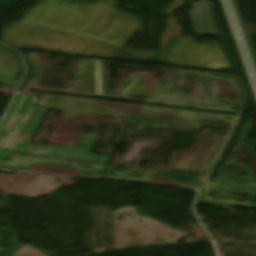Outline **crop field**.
<instances>
[{
  "mask_svg": "<svg viewBox=\"0 0 256 256\" xmlns=\"http://www.w3.org/2000/svg\"><path fill=\"white\" fill-rule=\"evenodd\" d=\"M37 97L18 95L0 130V159L7 157ZM47 109L35 108L12 152L108 164L112 156L90 154L98 137H80L75 148L30 144Z\"/></svg>",
  "mask_w": 256,
  "mask_h": 256,
  "instance_id": "8a807250",
  "label": "crop field"
},
{
  "mask_svg": "<svg viewBox=\"0 0 256 256\" xmlns=\"http://www.w3.org/2000/svg\"><path fill=\"white\" fill-rule=\"evenodd\" d=\"M193 6L194 10L190 14L196 34L205 35L216 33L209 11L214 6L213 3L200 0V2L193 3Z\"/></svg>",
  "mask_w": 256,
  "mask_h": 256,
  "instance_id": "ac0d7876",
  "label": "crop field"
}]
</instances>
